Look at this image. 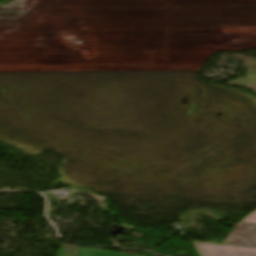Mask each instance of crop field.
Returning a JSON list of instances; mask_svg holds the SVG:
<instances>
[{"mask_svg": "<svg viewBox=\"0 0 256 256\" xmlns=\"http://www.w3.org/2000/svg\"><path fill=\"white\" fill-rule=\"evenodd\" d=\"M224 244L256 248V225L238 222Z\"/></svg>", "mask_w": 256, "mask_h": 256, "instance_id": "obj_2", "label": "crop field"}, {"mask_svg": "<svg viewBox=\"0 0 256 256\" xmlns=\"http://www.w3.org/2000/svg\"><path fill=\"white\" fill-rule=\"evenodd\" d=\"M78 256H133V255L114 253V252L103 251L98 249L81 248Z\"/></svg>", "mask_w": 256, "mask_h": 256, "instance_id": "obj_3", "label": "crop field"}, {"mask_svg": "<svg viewBox=\"0 0 256 256\" xmlns=\"http://www.w3.org/2000/svg\"><path fill=\"white\" fill-rule=\"evenodd\" d=\"M241 222L255 223L256 224V210L244 218Z\"/></svg>", "mask_w": 256, "mask_h": 256, "instance_id": "obj_4", "label": "crop field"}, {"mask_svg": "<svg viewBox=\"0 0 256 256\" xmlns=\"http://www.w3.org/2000/svg\"><path fill=\"white\" fill-rule=\"evenodd\" d=\"M200 256H256V249L194 242Z\"/></svg>", "mask_w": 256, "mask_h": 256, "instance_id": "obj_1", "label": "crop field"}]
</instances>
